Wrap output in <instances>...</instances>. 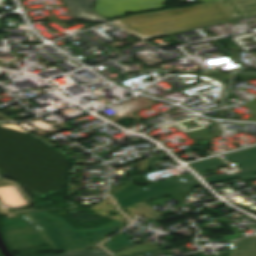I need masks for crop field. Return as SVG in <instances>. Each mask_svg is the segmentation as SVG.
I'll return each instance as SVG.
<instances>
[{
    "label": "crop field",
    "instance_id": "crop-field-10",
    "mask_svg": "<svg viewBox=\"0 0 256 256\" xmlns=\"http://www.w3.org/2000/svg\"><path fill=\"white\" fill-rule=\"evenodd\" d=\"M128 207L135 210L140 215H143L158 221L163 219L162 216L170 214L169 211L160 213L145 202L137 205H133V206H128Z\"/></svg>",
    "mask_w": 256,
    "mask_h": 256
},
{
    "label": "crop field",
    "instance_id": "crop-field-3",
    "mask_svg": "<svg viewBox=\"0 0 256 256\" xmlns=\"http://www.w3.org/2000/svg\"><path fill=\"white\" fill-rule=\"evenodd\" d=\"M184 178L188 182L184 183L179 179ZM201 186V184L190 173L184 174L157 184L147 186L148 190L141 189L137 193L119 201L124 204H131L183 190H187L193 187Z\"/></svg>",
    "mask_w": 256,
    "mask_h": 256
},
{
    "label": "crop field",
    "instance_id": "crop-field-1",
    "mask_svg": "<svg viewBox=\"0 0 256 256\" xmlns=\"http://www.w3.org/2000/svg\"><path fill=\"white\" fill-rule=\"evenodd\" d=\"M2 223L4 238L11 251L48 243L59 251L97 247L107 238L105 237L107 234L123 228L121 222L115 221L96 229L74 230L64 219L51 216L47 211L4 218ZM87 233L93 236L89 237Z\"/></svg>",
    "mask_w": 256,
    "mask_h": 256
},
{
    "label": "crop field",
    "instance_id": "crop-field-2",
    "mask_svg": "<svg viewBox=\"0 0 256 256\" xmlns=\"http://www.w3.org/2000/svg\"><path fill=\"white\" fill-rule=\"evenodd\" d=\"M232 20L223 5L217 1L184 9H172L111 21L135 36L146 40Z\"/></svg>",
    "mask_w": 256,
    "mask_h": 256
},
{
    "label": "crop field",
    "instance_id": "crop-field-8",
    "mask_svg": "<svg viewBox=\"0 0 256 256\" xmlns=\"http://www.w3.org/2000/svg\"><path fill=\"white\" fill-rule=\"evenodd\" d=\"M230 256H256V235L231 243Z\"/></svg>",
    "mask_w": 256,
    "mask_h": 256
},
{
    "label": "crop field",
    "instance_id": "crop-field-6",
    "mask_svg": "<svg viewBox=\"0 0 256 256\" xmlns=\"http://www.w3.org/2000/svg\"><path fill=\"white\" fill-rule=\"evenodd\" d=\"M94 1L95 0H65L76 19L107 22L105 18L91 10Z\"/></svg>",
    "mask_w": 256,
    "mask_h": 256
},
{
    "label": "crop field",
    "instance_id": "crop-field-9",
    "mask_svg": "<svg viewBox=\"0 0 256 256\" xmlns=\"http://www.w3.org/2000/svg\"><path fill=\"white\" fill-rule=\"evenodd\" d=\"M130 237H133V236L119 234L113 239L109 240L108 242L102 244V246L105 247L110 252H113V251H117L120 249H124L130 246L136 245L134 243H131L133 241L127 240Z\"/></svg>",
    "mask_w": 256,
    "mask_h": 256
},
{
    "label": "crop field",
    "instance_id": "crop-field-17",
    "mask_svg": "<svg viewBox=\"0 0 256 256\" xmlns=\"http://www.w3.org/2000/svg\"><path fill=\"white\" fill-rule=\"evenodd\" d=\"M0 29H1V24H0Z\"/></svg>",
    "mask_w": 256,
    "mask_h": 256
},
{
    "label": "crop field",
    "instance_id": "crop-field-18",
    "mask_svg": "<svg viewBox=\"0 0 256 256\" xmlns=\"http://www.w3.org/2000/svg\"><path fill=\"white\" fill-rule=\"evenodd\" d=\"M0 256H2V255L0 254Z\"/></svg>",
    "mask_w": 256,
    "mask_h": 256
},
{
    "label": "crop field",
    "instance_id": "crop-field-4",
    "mask_svg": "<svg viewBox=\"0 0 256 256\" xmlns=\"http://www.w3.org/2000/svg\"><path fill=\"white\" fill-rule=\"evenodd\" d=\"M166 0H96L93 8L105 18L125 13L160 9Z\"/></svg>",
    "mask_w": 256,
    "mask_h": 256
},
{
    "label": "crop field",
    "instance_id": "crop-field-11",
    "mask_svg": "<svg viewBox=\"0 0 256 256\" xmlns=\"http://www.w3.org/2000/svg\"><path fill=\"white\" fill-rule=\"evenodd\" d=\"M221 165L227 166L228 164H226L224 161H222L218 157L189 164V166L192 167L198 173L208 171V170H211V169H215V168H217L218 166H221Z\"/></svg>",
    "mask_w": 256,
    "mask_h": 256
},
{
    "label": "crop field",
    "instance_id": "crop-field-16",
    "mask_svg": "<svg viewBox=\"0 0 256 256\" xmlns=\"http://www.w3.org/2000/svg\"><path fill=\"white\" fill-rule=\"evenodd\" d=\"M40 256H45V255H40Z\"/></svg>",
    "mask_w": 256,
    "mask_h": 256
},
{
    "label": "crop field",
    "instance_id": "crop-field-13",
    "mask_svg": "<svg viewBox=\"0 0 256 256\" xmlns=\"http://www.w3.org/2000/svg\"><path fill=\"white\" fill-rule=\"evenodd\" d=\"M139 189L140 188H137V187L129 185V186L121 189L120 191H118V192H116V193H114L112 195H113V197L115 198V200L117 202L118 200H120V199H122V198H124V197H126V196H128V195H130V194H132V193H134L136 191H138Z\"/></svg>",
    "mask_w": 256,
    "mask_h": 256
},
{
    "label": "crop field",
    "instance_id": "crop-field-5",
    "mask_svg": "<svg viewBox=\"0 0 256 256\" xmlns=\"http://www.w3.org/2000/svg\"><path fill=\"white\" fill-rule=\"evenodd\" d=\"M241 173L204 178L208 184L256 174V146L224 155Z\"/></svg>",
    "mask_w": 256,
    "mask_h": 256
},
{
    "label": "crop field",
    "instance_id": "crop-field-7",
    "mask_svg": "<svg viewBox=\"0 0 256 256\" xmlns=\"http://www.w3.org/2000/svg\"><path fill=\"white\" fill-rule=\"evenodd\" d=\"M221 3L234 19L256 14V0H222Z\"/></svg>",
    "mask_w": 256,
    "mask_h": 256
},
{
    "label": "crop field",
    "instance_id": "crop-field-15",
    "mask_svg": "<svg viewBox=\"0 0 256 256\" xmlns=\"http://www.w3.org/2000/svg\"><path fill=\"white\" fill-rule=\"evenodd\" d=\"M204 1H214V0H199V2H204Z\"/></svg>",
    "mask_w": 256,
    "mask_h": 256
},
{
    "label": "crop field",
    "instance_id": "crop-field-12",
    "mask_svg": "<svg viewBox=\"0 0 256 256\" xmlns=\"http://www.w3.org/2000/svg\"><path fill=\"white\" fill-rule=\"evenodd\" d=\"M47 256H109L100 248L62 252V254H47Z\"/></svg>",
    "mask_w": 256,
    "mask_h": 256
},
{
    "label": "crop field",
    "instance_id": "crop-field-14",
    "mask_svg": "<svg viewBox=\"0 0 256 256\" xmlns=\"http://www.w3.org/2000/svg\"><path fill=\"white\" fill-rule=\"evenodd\" d=\"M117 203L119 204V206H120L121 208H124L125 206H127V205H124V204L119 203V202H117Z\"/></svg>",
    "mask_w": 256,
    "mask_h": 256
}]
</instances>
